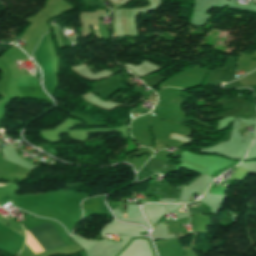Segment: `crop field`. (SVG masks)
I'll list each match as a JSON object with an SVG mask.
<instances>
[{
  "instance_id": "crop-field-1",
  "label": "crop field",
  "mask_w": 256,
  "mask_h": 256,
  "mask_svg": "<svg viewBox=\"0 0 256 256\" xmlns=\"http://www.w3.org/2000/svg\"><path fill=\"white\" fill-rule=\"evenodd\" d=\"M30 230V229H29ZM36 243L41 248L42 252L65 246L54 227L45 223L29 231ZM29 247V246H28ZM30 248V247H29Z\"/></svg>"
},
{
  "instance_id": "crop-field-2",
  "label": "crop field",
  "mask_w": 256,
  "mask_h": 256,
  "mask_svg": "<svg viewBox=\"0 0 256 256\" xmlns=\"http://www.w3.org/2000/svg\"><path fill=\"white\" fill-rule=\"evenodd\" d=\"M93 29L94 30H96V29H98L97 27H93ZM95 32V35L97 36V37H99L100 38V34H99V31L98 30H96V31H94Z\"/></svg>"
},
{
  "instance_id": "crop-field-3",
  "label": "crop field",
  "mask_w": 256,
  "mask_h": 256,
  "mask_svg": "<svg viewBox=\"0 0 256 256\" xmlns=\"http://www.w3.org/2000/svg\"><path fill=\"white\" fill-rule=\"evenodd\" d=\"M5 50H6V48L0 45V55H1Z\"/></svg>"
},
{
  "instance_id": "crop-field-4",
  "label": "crop field",
  "mask_w": 256,
  "mask_h": 256,
  "mask_svg": "<svg viewBox=\"0 0 256 256\" xmlns=\"http://www.w3.org/2000/svg\"><path fill=\"white\" fill-rule=\"evenodd\" d=\"M124 218H126V214H124Z\"/></svg>"
},
{
  "instance_id": "crop-field-5",
  "label": "crop field",
  "mask_w": 256,
  "mask_h": 256,
  "mask_svg": "<svg viewBox=\"0 0 256 256\" xmlns=\"http://www.w3.org/2000/svg\"><path fill=\"white\" fill-rule=\"evenodd\" d=\"M180 136V135H179Z\"/></svg>"
}]
</instances>
